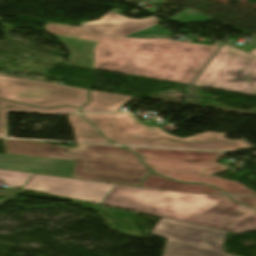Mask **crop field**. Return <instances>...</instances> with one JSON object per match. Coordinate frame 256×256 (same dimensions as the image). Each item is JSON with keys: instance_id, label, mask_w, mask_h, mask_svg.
Returning a JSON list of instances; mask_svg holds the SVG:
<instances>
[{"instance_id": "crop-field-1", "label": "crop field", "mask_w": 256, "mask_h": 256, "mask_svg": "<svg viewBox=\"0 0 256 256\" xmlns=\"http://www.w3.org/2000/svg\"><path fill=\"white\" fill-rule=\"evenodd\" d=\"M218 46L104 36L93 48V68L190 84Z\"/></svg>"}, {"instance_id": "crop-field-2", "label": "crop field", "mask_w": 256, "mask_h": 256, "mask_svg": "<svg viewBox=\"0 0 256 256\" xmlns=\"http://www.w3.org/2000/svg\"><path fill=\"white\" fill-rule=\"evenodd\" d=\"M104 205L242 233L256 230V210L226 195H198L116 185Z\"/></svg>"}, {"instance_id": "crop-field-3", "label": "crop field", "mask_w": 256, "mask_h": 256, "mask_svg": "<svg viewBox=\"0 0 256 256\" xmlns=\"http://www.w3.org/2000/svg\"><path fill=\"white\" fill-rule=\"evenodd\" d=\"M3 143L6 154L76 160V179L138 186L151 173L138 155L115 146L79 144L77 148H68L9 139H3Z\"/></svg>"}, {"instance_id": "crop-field-4", "label": "crop field", "mask_w": 256, "mask_h": 256, "mask_svg": "<svg viewBox=\"0 0 256 256\" xmlns=\"http://www.w3.org/2000/svg\"><path fill=\"white\" fill-rule=\"evenodd\" d=\"M101 130L110 141L117 144L218 149L249 150L252 149L243 140L233 141L225 138L227 133L205 132L184 139L170 135L158 127H147L127 113L83 115Z\"/></svg>"}, {"instance_id": "crop-field-5", "label": "crop field", "mask_w": 256, "mask_h": 256, "mask_svg": "<svg viewBox=\"0 0 256 256\" xmlns=\"http://www.w3.org/2000/svg\"><path fill=\"white\" fill-rule=\"evenodd\" d=\"M139 153L144 163L155 173L177 181L195 182L213 185L227 194L256 195L241 183L214 177V173L226 172L229 167L217 163L218 157L225 155L219 152L132 148Z\"/></svg>"}, {"instance_id": "crop-field-6", "label": "crop field", "mask_w": 256, "mask_h": 256, "mask_svg": "<svg viewBox=\"0 0 256 256\" xmlns=\"http://www.w3.org/2000/svg\"><path fill=\"white\" fill-rule=\"evenodd\" d=\"M193 85L256 95V56L223 44Z\"/></svg>"}, {"instance_id": "crop-field-7", "label": "crop field", "mask_w": 256, "mask_h": 256, "mask_svg": "<svg viewBox=\"0 0 256 256\" xmlns=\"http://www.w3.org/2000/svg\"><path fill=\"white\" fill-rule=\"evenodd\" d=\"M226 233L164 218L151 232L167 238L163 256H232L220 249Z\"/></svg>"}, {"instance_id": "crop-field-8", "label": "crop field", "mask_w": 256, "mask_h": 256, "mask_svg": "<svg viewBox=\"0 0 256 256\" xmlns=\"http://www.w3.org/2000/svg\"><path fill=\"white\" fill-rule=\"evenodd\" d=\"M0 98L44 108L63 105L80 108L87 103L88 90L0 76Z\"/></svg>"}, {"instance_id": "crop-field-9", "label": "crop field", "mask_w": 256, "mask_h": 256, "mask_svg": "<svg viewBox=\"0 0 256 256\" xmlns=\"http://www.w3.org/2000/svg\"><path fill=\"white\" fill-rule=\"evenodd\" d=\"M113 184L35 174L24 189L101 204Z\"/></svg>"}, {"instance_id": "crop-field-10", "label": "crop field", "mask_w": 256, "mask_h": 256, "mask_svg": "<svg viewBox=\"0 0 256 256\" xmlns=\"http://www.w3.org/2000/svg\"><path fill=\"white\" fill-rule=\"evenodd\" d=\"M75 161L32 158L0 154V169L72 178Z\"/></svg>"}, {"instance_id": "crop-field-11", "label": "crop field", "mask_w": 256, "mask_h": 256, "mask_svg": "<svg viewBox=\"0 0 256 256\" xmlns=\"http://www.w3.org/2000/svg\"><path fill=\"white\" fill-rule=\"evenodd\" d=\"M159 23V20L149 17L141 20H133L110 11L100 20L80 23L85 31L100 35L126 36L146 27Z\"/></svg>"}, {"instance_id": "crop-field-12", "label": "crop field", "mask_w": 256, "mask_h": 256, "mask_svg": "<svg viewBox=\"0 0 256 256\" xmlns=\"http://www.w3.org/2000/svg\"><path fill=\"white\" fill-rule=\"evenodd\" d=\"M132 98L131 96L90 90V103L81 109V113L116 111L127 105Z\"/></svg>"}, {"instance_id": "crop-field-13", "label": "crop field", "mask_w": 256, "mask_h": 256, "mask_svg": "<svg viewBox=\"0 0 256 256\" xmlns=\"http://www.w3.org/2000/svg\"><path fill=\"white\" fill-rule=\"evenodd\" d=\"M140 187L198 194H224V192L206 185L180 184L154 174L148 176Z\"/></svg>"}, {"instance_id": "crop-field-14", "label": "crop field", "mask_w": 256, "mask_h": 256, "mask_svg": "<svg viewBox=\"0 0 256 256\" xmlns=\"http://www.w3.org/2000/svg\"><path fill=\"white\" fill-rule=\"evenodd\" d=\"M7 112L21 113H41V114H60V113H78L77 108L64 107L52 110H45L28 105L18 104L0 99V136L8 137L7 132Z\"/></svg>"}, {"instance_id": "crop-field-15", "label": "crop field", "mask_w": 256, "mask_h": 256, "mask_svg": "<svg viewBox=\"0 0 256 256\" xmlns=\"http://www.w3.org/2000/svg\"><path fill=\"white\" fill-rule=\"evenodd\" d=\"M57 38L63 43V45L70 51L71 58L70 63L74 66H80L92 69L94 53L92 48L95 43L84 42L64 37Z\"/></svg>"}, {"instance_id": "crop-field-16", "label": "crop field", "mask_w": 256, "mask_h": 256, "mask_svg": "<svg viewBox=\"0 0 256 256\" xmlns=\"http://www.w3.org/2000/svg\"><path fill=\"white\" fill-rule=\"evenodd\" d=\"M68 119L73 127L76 141L113 144L102 137L97 129L80 115L68 116Z\"/></svg>"}, {"instance_id": "crop-field-17", "label": "crop field", "mask_w": 256, "mask_h": 256, "mask_svg": "<svg viewBox=\"0 0 256 256\" xmlns=\"http://www.w3.org/2000/svg\"><path fill=\"white\" fill-rule=\"evenodd\" d=\"M43 29L54 35L95 41V42H98L102 37L100 35H94L88 32H84L83 28L71 27V26L60 25V24L47 23L43 27Z\"/></svg>"}, {"instance_id": "crop-field-18", "label": "crop field", "mask_w": 256, "mask_h": 256, "mask_svg": "<svg viewBox=\"0 0 256 256\" xmlns=\"http://www.w3.org/2000/svg\"><path fill=\"white\" fill-rule=\"evenodd\" d=\"M34 174L0 170V187L2 184L10 185L9 188H23Z\"/></svg>"}, {"instance_id": "crop-field-19", "label": "crop field", "mask_w": 256, "mask_h": 256, "mask_svg": "<svg viewBox=\"0 0 256 256\" xmlns=\"http://www.w3.org/2000/svg\"><path fill=\"white\" fill-rule=\"evenodd\" d=\"M152 33L155 36H171L172 34L168 33L167 31H165L162 27H160L158 24L154 25L152 27L146 28L144 30H141L139 32H136L134 34L128 35L126 37H142L145 35H148Z\"/></svg>"}, {"instance_id": "crop-field-20", "label": "crop field", "mask_w": 256, "mask_h": 256, "mask_svg": "<svg viewBox=\"0 0 256 256\" xmlns=\"http://www.w3.org/2000/svg\"><path fill=\"white\" fill-rule=\"evenodd\" d=\"M230 198L256 208V197L230 196Z\"/></svg>"}, {"instance_id": "crop-field-21", "label": "crop field", "mask_w": 256, "mask_h": 256, "mask_svg": "<svg viewBox=\"0 0 256 256\" xmlns=\"http://www.w3.org/2000/svg\"><path fill=\"white\" fill-rule=\"evenodd\" d=\"M254 40H256V38H254ZM250 54L256 55V50H254V51L251 52Z\"/></svg>"}]
</instances>
